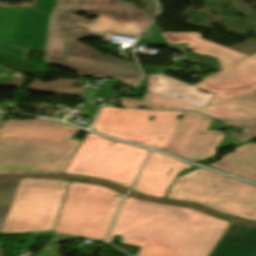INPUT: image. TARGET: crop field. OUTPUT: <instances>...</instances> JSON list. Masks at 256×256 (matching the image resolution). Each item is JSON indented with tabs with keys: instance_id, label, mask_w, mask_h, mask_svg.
Listing matches in <instances>:
<instances>
[{
	"instance_id": "4",
	"label": "crop field",
	"mask_w": 256,
	"mask_h": 256,
	"mask_svg": "<svg viewBox=\"0 0 256 256\" xmlns=\"http://www.w3.org/2000/svg\"><path fill=\"white\" fill-rule=\"evenodd\" d=\"M74 11L98 16L96 21L71 18ZM150 22L146 10L122 0H57L49 34L45 64L62 63L68 35L107 33L138 38ZM65 24V26H63Z\"/></svg>"
},
{
	"instance_id": "3",
	"label": "crop field",
	"mask_w": 256,
	"mask_h": 256,
	"mask_svg": "<svg viewBox=\"0 0 256 256\" xmlns=\"http://www.w3.org/2000/svg\"><path fill=\"white\" fill-rule=\"evenodd\" d=\"M42 119L6 120L0 131V175L64 174L82 143L70 139L81 130Z\"/></svg>"
},
{
	"instance_id": "12",
	"label": "crop field",
	"mask_w": 256,
	"mask_h": 256,
	"mask_svg": "<svg viewBox=\"0 0 256 256\" xmlns=\"http://www.w3.org/2000/svg\"><path fill=\"white\" fill-rule=\"evenodd\" d=\"M170 168L172 170L167 177L166 174ZM189 168L193 167L153 151L150 153L133 190L146 196L163 198L176 175L181 170Z\"/></svg>"
},
{
	"instance_id": "18",
	"label": "crop field",
	"mask_w": 256,
	"mask_h": 256,
	"mask_svg": "<svg viewBox=\"0 0 256 256\" xmlns=\"http://www.w3.org/2000/svg\"><path fill=\"white\" fill-rule=\"evenodd\" d=\"M19 181L20 178L0 180V231Z\"/></svg>"
},
{
	"instance_id": "15",
	"label": "crop field",
	"mask_w": 256,
	"mask_h": 256,
	"mask_svg": "<svg viewBox=\"0 0 256 256\" xmlns=\"http://www.w3.org/2000/svg\"><path fill=\"white\" fill-rule=\"evenodd\" d=\"M209 166L256 182V144L249 143L239 146L234 152L211 163Z\"/></svg>"
},
{
	"instance_id": "9",
	"label": "crop field",
	"mask_w": 256,
	"mask_h": 256,
	"mask_svg": "<svg viewBox=\"0 0 256 256\" xmlns=\"http://www.w3.org/2000/svg\"><path fill=\"white\" fill-rule=\"evenodd\" d=\"M67 180L21 179L2 234L51 230Z\"/></svg>"
},
{
	"instance_id": "27",
	"label": "crop field",
	"mask_w": 256,
	"mask_h": 256,
	"mask_svg": "<svg viewBox=\"0 0 256 256\" xmlns=\"http://www.w3.org/2000/svg\"><path fill=\"white\" fill-rule=\"evenodd\" d=\"M4 122H5V120L0 119V128H1V126L3 125Z\"/></svg>"
},
{
	"instance_id": "26",
	"label": "crop field",
	"mask_w": 256,
	"mask_h": 256,
	"mask_svg": "<svg viewBox=\"0 0 256 256\" xmlns=\"http://www.w3.org/2000/svg\"><path fill=\"white\" fill-rule=\"evenodd\" d=\"M145 68H146V71H147V72H154V71L157 70V68H152V67L147 66V65H145Z\"/></svg>"
},
{
	"instance_id": "13",
	"label": "crop field",
	"mask_w": 256,
	"mask_h": 256,
	"mask_svg": "<svg viewBox=\"0 0 256 256\" xmlns=\"http://www.w3.org/2000/svg\"><path fill=\"white\" fill-rule=\"evenodd\" d=\"M147 91L204 108L214 93L202 90L162 74L148 76ZM178 96L183 98L179 99Z\"/></svg>"
},
{
	"instance_id": "7",
	"label": "crop field",
	"mask_w": 256,
	"mask_h": 256,
	"mask_svg": "<svg viewBox=\"0 0 256 256\" xmlns=\"http://www.w3.org/2000/svg\"><path fill=\"white\" fill-rule=\"evenodd\" d=\"M147 155L146 149L116 143L90 133L72 158L65 174L108 180L128 189Z\"/></svg>"
},
{
	"instance_id": "19",
	"label": "crop field",
	"mask_w": 256,
	"mask_h": 256,
	"mask_svg": "<svg viewBox=\"0 0 256 256\" xmlns=\"http://www.w3.org/2000/svg\"><path fill=\"white\" fill-rule=\"evenodd\" d=\"M71 84V81L66 80H61L51 84H44L36 80L27 89L46 93L81 95L82 89L69 88Z\"/></svg>"
},
{
	"instance_id": "21",
	"label": "crop field",
	"mask_w": 256,
	"mask_h": 256,
	"mask_svg": "<svg viewBox=\"0 0 256 256\" xmlns=\"http://www.w3.org/2000/svg\"><path fill=\"white\" fill-rule=\"evenodd\" d=\"M227 125H232V126H238V127H243L251 132L246 133V134H237V133H231L230 135L238 138L242 141H251L256 138V120L248 121L245 123H240V122H233V121H225Z\"/></svg>"
},
{
	"instance_id": "11",
	"label": "crop field",
	"mask_w": 256,
	"mask_h": 256,
	"mask_svg": "<svg viewBox=\"0 0 256 256\" xmlns=\"http://www.w3.org/2000/svg\"><path fill=\"white\" fill-rule=\"evenodd\" d=\"M87 36H69L63 66L80 76L121 78L119 83L133 86L140 79L137 65L120 59L103 58L98 51L78 42Z\"/></svg>"
},
{
	"instance_id": "24",
	"label": "crop field",
	"mask_w": 256,
	"mask_h": 256,
	"mask_svg": "<svg viewBox=\"0 0 256 256\" xmlns=\"http://www.w3.org/2000/svg\"><path fill=\"white\" fill-rule=\"evenodd\" d=\"M216 127L217 129H224L226 128V126L224 125L223 122L219 121V120H213L212 124L210 125V127L208 128V130H213V128Z\"/></svg>"
},
{
	"instance_id": "10",
	"label": "crop field",
	"mask_w": 256,
	"mask_h": 256,
	"mask_svg": "<svg viewBox=\"0 0 256 256\" xmlns=\"http://www.w3.org/2000/svg\"><path fill=\"white\" fill-rule=\"evenodd\" d=\"M54 0L33 8L0 6V52L26 60L28 50L45 51Z\"/></svg>"
},
{
	"instance_id": "20",
	"label": "crop field",
	"mask_w": 256,
	"mask_h": 256,
	"mask_svg": "<svg viewBox=\"0 0 256 256\" xmlns=\"http://www.w3.org/2000/svg\"><path fill=\"white\" fill-rule=\"evenodd\" d=\"M138 44L166 46L155 23L150 25V27L147 29V31L144 33V35L139 40Z\"/></svg>"
},
{
	"instance_id": "25",
	"label": "crop field",
	"mask_w": 256,
	"mask_h": 256,
	"mask_svg": "<svg viewBox=\"0 0 256 256\" xmlns=\"http://www.w3.org/2000/svg\"><path fill=\"white\" fill-rule=\"evenodd\" d=\"M146 81H147V76H145L144 80L142 81V83L137 86L135 89H143V88H146ZM134 89V90H135Z\"/></svg>"
},
{
	"instance_id": "23",
	"label": "crop field",
	"mask_w": 256,
	"mask_h": 256,
	"mask_svg": "<svg viewBox=\"0 0 256 256\" xmlns=\"http://www.w3.org/2000/svg\"><path fill=\"white\" fill-rule=\"evenodd\" d=\"M97 109H98V106L88 103L78 111L82 112L81 114L94 117Z\"/></svg>"
},
{
	"instance_id": "6",
	"label": "crop field",
	"mask_w": 256,
	"mask_h": 256,
	"mask_svg": "<svg viewBox=\"0 0 256 256\" xmlns=\"http://www.w3.org/2000/svg\"><path fill=\"white\" fill-rule=\"evenodd\" d=\"M199 168L178 178L166 198L256 221V187Z\"/></svg>"
},
{
	"instance_id": "2",
	"label": "crop field",
	"mask_w": 256,
	"mask_h": 256,
	"mask_svg": "<svg viewBox=\"0 0 256 256\" xmlns=\"http://www.w3.org/2000/svg\"><path fill=\"white\" fill-rule=\"evenodd\" d=\"M181 114L183 118L176 119ZM153 115L155 118L150 121ZM211 121L212 118L194 112L103 107L93 130L194 162L213 157L217 145L245 143L218 131H206Z\"/></svg>"
},
{
	"instance_id": "1",
	"label": "crop field",
	"mask_w": 256,
	"mask_h": 256,
	"mask_svg": "<svg viewBox=\"0 0 256 256\" xmlns=\"http://www.w3.org/2000/svg\"><path fill=\"white\" fill-rule=\"evenodd\" d=\"M230 222L199 210L128 196L107 238L142 246L136 256H208Z\"/></svg>"
},
{
	"instance_id": "14",
	"label": "crop field",
	"mask_w": 256,
	"mask_h": 256,
	"mask_svg": "<svg viewBox=\"0 0 256 256\" xmlns=\"http://www.w3.org/2000/svg\"><path fill=\"white\" fill-rule=\"evenodd\" d=\"M209 256H256V227L231 223Z\"/></svg>"
},
{
	"instance_id": "8",
	"label": "crop field",
	"mask_w": 256,
	"mask_h": 256,
	"mask_svg": "<svg viewBox=\"0 0 256 256\" xmlns=\"http://www.w3.org/2000/svg\"><path fill=\"white\" fill-rule=\"evenodd\" d=\"M168 43H189L188 50L218 58L219 72L193 85L228 99L256 90V54L248 56L202 39L200 33H162Z\"/></svg>"
},
{
	"instance_id": "17",
	"label": "crop field",
	"mask_w": 256,
	"mask_h": 256,
	"mask_svg": "<svg viewBox=\"0 0 256 256\" xmlns=\"http://www.w3.org/2000/svg\"><path fill=\"white\" fill-rule=\"evenodd\" d=\"M144 96V100L122 98L120 99V102H122L120 105L130 106L134 108L146 105L152 107L151 109H186L196 110L199 112L202 110L201 108L190 106L149 92H147Z\"/></svg>"
},
{
	"instance_id": "16",
	"label": "crop field",
	"mask_w": 256,
	"mask_h": 256,
	"mask_svg": "<svg viewBox=\"0 0 256 256\" xmlns=\"http://www.w3.org/2000/svg\"><path fill=\"white\" fill-rule=\"evenodd\" d=\"M201 113L228 120L256 118V109L228 100L217 94L213 96Z\"/></svg>"
},
{
	"instance_id": "5",
	"label": "crop field",
	"mask_w": 256,
	"mask_h": 256,
	"mask_svg": "<svg viewBox=\"0 0 256 256\" xmlns=\"http://www.w3.org/2000/svg\"><path fill=\"white\" fill-rule=\"evenodd\" d=\"M122 196L96 185L70 183L52 242L77 238L104 242Z\"/></svg>"
},
{
	"instance_id": "22",
	"label": "crop field",
	"mask_w": 256,
	"mask_h": 256,
	"mask_svg": "<svg viewBox=\"0 0 256 256\" xmlns=\"http://www.w3.org/2000/svg\"><path fill=\"white\" fill-rule=\"evenodd\" d=\"M231 100L256 108V92L233 98Z\"/></svg>"
}]
</instances>
